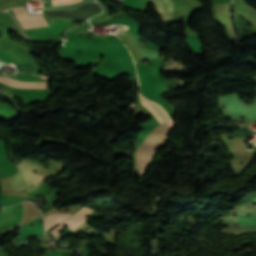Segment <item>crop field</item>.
I'll list each match as a JSON object with an SVG mask.
<instances>
[{"mask_svg": "<svg viewBox=\"0 0 256 256\" xmlns=\"http://www.w3.org/2000/svg\"><path fill=\"white\" fill-rule=\"evenodd\" d=\"M19 172L12 179V187L15 191L27 188L28 192L36 189L39 182L44 178L30 173L33 170H38L32 163L23 160L18 166Z\"/></svg>", "mask_w": 256, "mask_h": 256, "instance_id": "8a807250", "label": "crop field"}, {"mask_svg": "<svg viewBox=\"0 0 256 256\" xmlns=\"http://www.w3.org/2000/svg\"><path fill=\"white\" fill-rule=\"evenodd\" d=\"M21 19L26 28H35L51 24L43 13L29 15L26 8L13 10Z\"/></svg>", "mask_w": 256, "mask_h": 256, "instance_id": "ac0d7876", "label": "crop field"}, {"mask_svg": "<svg viewBox=\"0 0 256 256\" xmlns=\"http://www.w3.org/2000/svg\"><path fill=\"white\" fill-rule=\"evenodd\" d=\"M93 210L83 207L80 209L76 214L68 218L66 221L58 225L55 229H53L51 232L55 235V237L59 234L60 231H62L63 227L65 225H68V227L76 228L80 224H82L87 218L85 217L89 213H91Z\"/></svg>", "mask_w": 256, "mask_h": 256, "instance_id": "34b2d1b8", "label": "crop field"}, {"mask_svg": "<svg viewBox=\"0 0 256 256\" xmlns=\"http://www.w3.org/2000/svg\"><path fill=\"white\" fill-rule=\"evenodd\" d=\"M154 4L161 19H173V3L170 0H148Z\"/></svg>", "mask_w": 256, "mask_h": 256, "instance_id": "412701ff", "label": "crop field"}, {"mask_svg": "<svg viewBox=\"0 0 256 256\" xmlns=\"http://www.w3.org/2000/svg\"><path fill=\"white\" fill-rule=\"evenodd\" d=\"M0 82L8 84L12 87H17V88H46V83H37V82L21 83L19 81L11 80V78L9 77H0Z\"/></svg>", "mask_w": 256, "mask_h": 256, "instance_id": "f4fd0767", "label": "crop field"}, {"mask_svg": "<svg viewBox=\"0 0 256 256\" xmlns=\"http://www.w3.org/2000/svg\"><path fill=\"white\" fill-rule=\"evenodd\" d=\"M69 216H71V215L56 213V214H53L51 216L44 218L46 231H48L49 229H51L52 227H54L61 221L67 219Z\"/></svg>", "mask_w": 256, "mask_h": 256, "instance_id": "dd49c442", "label": "crop field"}, {"mask_svg": "<svg viewBox=\"0 0 256 256\" xmlns=\"http://www.w3.org/2000/svg\"><path fill=\"white\" fill-rule=\"evenodd\" d=\"M235 223H240L241 228H256V216L248 218H236Z\"/></svg>", "mask_w": 256, "mask_h": 256, "instance_id": "e52e79f7", "label": "crop field"}, {"mask_svg": "<svg viewBox=\"0 0 256 256\" xmlns=\"http://www.w3.org/2000/svg\"><path fill=\"white\" fill-rule=\"evenodd\" d=\"M13 207L14 206L8 208H1L0 213L4 214L0 215V223H3L11 218L13 214Z\"/></svg>", "mask_w": 256, "mask_h": 256, "instance_id": "d8731c3e", "label": "crop field"}, {"mask_svg": "<svg viewBox=\"0 0 256 256\" xmlns=\"http://www.w3.org/2000/svg\"><path fill=\"white\" fill-rule=\"evenodd\" d=\"M128 33H130L129 31H127ZM132 35V33H130Z\"/></svg>", "mask_w": 256, "mask_h": 256, "instance_id": "5a996713", "label": "crop field"}]
</instances>
